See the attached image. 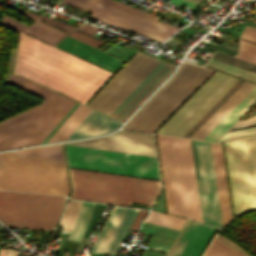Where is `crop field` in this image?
Listing matches in <instances>:
<instances>
[{"label":"crop field","mask_w":256,"mask_h":256,"mask_svg":"<svg viewBox=\"0 0 256 256\" xmlns=\"http://www.w3.org/2000/svg\"><path fill=\"white\" fill-rule=\"evenodd\" d=\"M80 203L81 201H74V200L69 201L68 208L66 210L65 216L61 223L63 225V228L69 229V230L72 228L79 211Z\"/></svg>","instance_id":"crop-field-30"},{"label":"crop field","mask_w":256,"mask_h":256,"mask_svg":"<svg viewBox=\"0 0 256 256\" xmlns=\"http://www.w3.org/2000/svg\"><path fill=\"white\" fill-rule=\"evenodd\" d=\"M241 38H244L256 43V30L253 29L252 27L246 26L244 32L241 35Z\"/></svg>","instance_id":"crop-field-35"},{"label":"crop field","mask_w":256,"mask_h":256,"mask_svg":"<svg viewBox=\"0 0 256 256\" xmlns=\"http://www.w3.org/2000/svg\"><path fill=\"white\" fill-rule=\"evenodd\" d=\"M18 254V251L6 249L4 256H18Z\"/></svg>","instance_id":"crop-field-39"},{"label":"crop field","mask_w":256,"mask_h":256,"mask_svg":"<svg viewBox=\"0 0 256 256\" xmlns=\"http://www.w3.org/2000/svg\"><path fill=\"white\" fill-rule=\"evenodd\" d=\"M55 46L104 67L112 72H114L123 63V61L80 41H77L67 35L56 43Z\"/></svg>","instance_id":"crop-field-18"},{"label":"crop field","mask_w":256,"mask_h":256,"mask_svg":"<svg viewBox=\"0 0 256 256\" xmlns=\"http://www.w3.org/2000/svg\"><path fill=\"white\" fill-rule=\"evenodd\" d=\"M206 66L221 70L223 72H226V73H229V74H232L256 83V74L226 65L224 63L210 59L206 64Z\"/></svg>","instance_id":"crop-field-28"},{"label":"crop field","mask_w":256,"mask_h":256,"mask_svg":"<svg viewBox=\"0 0 256 256\" xmlns=\"http://www.w3.org/2000/svg\"><path fill=\"white\" fill-rule=\"evenodd\" d=\"M255 134H256V127H251V128L227 132L220 140L238 138V137L255 135Z\"/></svg>","instance_id":"crop-field-33"},{"label":"crop field","mask_w":256,"mask_h":256,"mask_svg":"<svg viewBox=\"0 0 256 256\" xmlns=\"http://www.w3.org/2000/svg\"><path fill=\"white\" fill-rule=\"evenodd\" d=\"M145 221L180 230L186 219L151 211Z\"/></svg>","instance_id":"crop-field-25"},{"label":"crop field","mask_w":256,"mask_h":256,"mask_svg":"<svg viewBox=\"0 0 256 256\" xmlns=\"http://www.w3.org/2000/svg\"><path fill=\"white\" fill-rule=\"evenodd\" d=\"M69 36L75 38V39H78L86 44H89L95 48L99 47L101 44H103V42L97 40V39H94L86 34H83L77 30L73 31L71 34H69Z\"/></svg>","instance_id":"crop-field-34"},{"label":"crop field","mask_w":256,"mask_h":256,"mask_svg":"<svg viewBox=\"0 0 256 256\" xmlns=\"http://www.w3.org/2000/svg\"><path fill=\"white\" fill-rule=\"evenodd\" d=\"M4 250H5V249H1V250H0V256H3Z\"/></svg>","instance_id":"crop-field-42"},{"label":"crop field","mask_w":256,"mask_h":256,"mask_svg":"<svg viewBox=\"0 0 256 256\" xmlns=\"http://www.w3.org/2000/svg\"><path fill=\"white\" fill-rule=\"evenodd\" d=\"M70 170L77 199L130 206L131 202L153 205L160 181L79 169Z\"/></svg>","instance_id":"crop-field-4"},{"label":"crop field","mask_w":256,"mask_h":256,"mask_svg":"<svg viewBox=\"0 0 256 256\" xmlns=\"http://www.w3.org/2000/svg\"><path fill=\"white\" fill-rule=\"evenodd\" d=\"M174 65L161 61L136 89L119 105L111 116L124 121L146 97L174 69Z\"/></svg>","instance_id":"crop-field-17"},{"label":"crop field","mask_w":256,"mask_h":256,"mask_svg":"<svg viewBox=\"0 0 256 256\" xmlns=\"http://www.w3.org/2000/svg\"><path fill=\"white\" fill-rule=\"evenodd\" d=\"M77 30L93 36V34L96 32L97 28L92 27L88 24H84V25H81L79 28H77Z\"/></svg>","instance_id":"crop-field-38"},{"label":"crop field","mask_w":256,"mask_h":256,"mask_svg":"<svg viewBox=\"0 0 256 256\" xmlns=\"http://www.w3.org/2000/svg\"><path fill=\"white\" fill-rule=\"evenodd\" d=\"M237 81L216 72L156 133L182 137Z\"/></svg>","instance_id":"crop-field-9"},{"label":"crop field","mask_w":256,"mask_h":256,"mask_svg":"<svg viewBox=\"0 0 256 256\" xmlns=\"http://www.w3.org/2000/svg\"><path fill=\"white\" fill-rule=\"evenodd\" d=\"M212 59L227 63L229 65L256 73V65L236 59L234 57L216 52V54L212 57Z\"/></svg>","instance_id":"crop-field-29"},{"label":"crop field","mask_w":256,"mask_h":256,"mask_svg":"<svg viewBox=\"0 0 256 256\" xmlns=\"http://www.w3.org/2000/svg\"><path fill=\"white\" fill-rule=\"evenodd\" d=\"M68 166L159 179L156 158L67 146Z\"/></svg>","instance_id":"crop-field-8"},{"label":"crop field","mask_w":256,"mask_h":256,"mask_svg":"<svg viewBox=\"0 0 256 256\" xmlns=\"http://www.w3.org/2000/svg\"><path fill=\"white\" fill-rule=\"evenodd\" d=\"M194 144L203 222L222 227L210 143L194 141Z\"/></svg>","instance_id":"crop-field-12"},{"label":"crop field","mask_w":256,"mask_h":256,"mask_svg":"<svg viewBox=\"0 0 256 256\" xmlns=\"http://www.w3.org/2000/svg\"><path fill=\"white\" fill-rule=\"evenodd\" d=\"M212 72L213 70L183 61L179 70L123 129L153 133Z\"/></svg>","instance_id":"crop-field-5"},{"label":"crop field","mask_w":256,"mask_h":256,"mask_svg":"<svg viewBox=\"0 0 256 256\" xmlns=\"http://www.w3.org/2000/svg\"><path fill=\"white\" fill-rule=\"evenodd\" d=\"M216 227L188 220L166 256H199Z\"/></svg>","instance_id":"crop-field-16"},{"label":"crop field","mask_w":256,"mask_h":256,"mask_svg":"<svg viewBox=\"0 0 256 256\" xmlns=\"http://www.w3.org/2000/svg\"><path fill=\"white\" fill-rule=\"evenodd\" d=\"M96 1H99V2H102V3H105V4H108V5H111V6H114V7H117L119 9H122V10H125V11H128V12H131V13H134V14H137V15H140V16H143V17H146V18H149V19H152L154 21H158L159 20V17H156L154 15H151L149 13H146V12H143L141 10H138V9H135L133 7H130V6H127L125 4H122V3H119V2H116L114 0H96ZM151 20V21H152ZM174 28V27H173ZM177 29V28H176Z\"/></svg>","instance_id":"crop-field-32"},{"label":"crop field","mask_w":256,"mask_h":256,"mask_svg":"<svg viewBox=\"0 0 256 256\" xmlns=\"http://www.w3.org/2000/svg\"><path fill=\"white\" fill-rule=\"evenodd\" d=\"M254 86L245 82L191 138L202 140Z\"/></svg>","instance_id":"crop-field-20"},{"label":"crop field","mask_w":256,"mask_h":256,"mask_svg":"<svg viewBox=\"0 0 256 256\" xmlns=\"http://www.w3.org/2000/svg\"><path fill=\"white\" fill-rule=\"evenodd\" d=\"M5 155L12 156L29 170L60 167L65 193H59L64 192L59 168L29 171L12 157L6 156L11 187L59 192L10 188ZM0 190L67 195L69 186L61 145H47L0 153Z\"/></svg>","instance_id":"crop-field-2"},{"label":"crop field","mask_w":256,"mask_h":256,"mask_svg":"<svg viewBox=\"0 0 256 256\" xmlns=\"http://www.w3.org/2000/svg\"><path fill=\"white\" fill-rule=\"evenodd\" d=\"M237 58L256 64V45L240 39Z\"/></svg>","instance_id":"crop-field-31"},{"label":"crop field","mask_w":256,"mask_h":256,"mask_svg":"<svg viewBox=\"0 0 256 256\" xmlns=\"http://www.w3.org/2000/svg\"><path fill=\"white\" fill-rule=\"evenodd\" d=\"M15 73L83 103L112 75L23 33Z\"/></svg>","instance_id":"crop-field-1"},{"label":"crop field","mask_w":256,"mask_h":256,"mask_svg":"<svg viewBox=\"0 0 256 256\" xmlns=\"http://www.w3.org/2000/svg\"><path fill=\"white\" fill-rule=\"evenodd\" d=\"M90 111L91 109L79 104L46 143L66 140Z\"/></svg>","instance_id":"crop-field-23"},{"label":"crop field","mask_w":256,"mask_h":256,"mask_svg":"<svg viewBox=\"0 0 256 256\" xmlns=\"http://www.w3.org/2000/svg\"><path fill=\"white\" fill-rule=\"evenodd\" d=\"M234 215L256 209V137L224 143Z\"/></svg>","instance_id":"crop-field-7"},{"label":"crop field","mask_w":256,"mask_h":256,"mask_svg":"<svg viewBox=\"0 0 256 256\" xmlns=\"http://www.w3.org/2000/svg\"><path fill=\"white\" fill-rule=\"evenodd\" d=\"M147 211L140 210L130 229L137 230Z\"/></svg>","instance_id":"crop-field-37"},{"label":"crop field","mask_w":256,"mask_h":256,"mask_svg":"<svg viewBox=\"0 0 256 256\" xmlns=\"http://www.w3.org/2000/svg\"><path fill=\"white\" fill-rule=\"evenodd\" d=\"M209 36L216 37V38L222 39V40H224V41H227V42H230V43H233V44H236V45L238 44L237 42L230 41V40H227V39H223V38L217 37V36L212 35V34H210Z\"/></svg>","instance_id":"crop-field-40"},{"label":"crop field","mask_w":256,"mask_h":256,"mask_svg":"<svg viewBox=\"0 0 256 256\" xmlns=\"http://www.w3.org/2000/svg\"><path fill=\"white\" fill-rule=\"evenodd\" d=\"M157 138L168 213L202 222L190 140Z\"/></svg>","instance_id":"crop-field-3"},{"label":"crop field","mask_w":256,"mask_h":256,"mask_svg":"<svg viewBox=\"0 0 256 256\" xmlns=\"http://www.w3.org/2000/svg\"><path fill=\"white\" fill-rule=\"evenodd\" d=\"M203 256H245L234 248L215 238Z\"/></svg>","instance_id":"crop-field-27"},{"label":"crop field","mask_w":256,"mask_h":256,"mask_svg":"<svg viewBox=\"0 0 256 256\" xmlns=\"http://www.w3.org/2000/svg\"><path fill=\"white\" fill-rule=\"evenodd\" d=\"M212 146L223 226L231 220L220 144Z\"/></svg>","instance_id":"crop-field-21"},{"label":"crop field","mask_w":256,"mask_h":256,"mask_svg":"<svg viewBox=\"0 0 256 256\" xmlns=\"http://www.w3.org/2000/svg\"><path fill=\"white\" fill-rule=\"evenodd\" d=\"M255 100L256 86L230 111V113L203 140L215 142Z\"/></svg>","instance_id":"crop-field-22"},{"label":"crop field","mask_w":256,"mask_h":256,"mask_svg":"<svg viewBox=\"0 0 256 256\" xmlns=\"http://www.w3.org/2000/svg\"><path fill=\"white\" fill-rule=\"evenodd\" d=\"M120 124L121 122L92 110L68 139L106 133L118 128Z\"/></svg>","instance_id":"crop-field-19"},{"label":"crop field","mask_w":256,"mask_h":256,"mask_svg":"<svg viewBox=\"0 0 256 256\" xmlns=\"http://www.w3.org/2000/svg\"><path fill=\"white\" fill-rule=\"evenodd\" d=\"M65 197L0 192V221L8 227L52 230Z\"/></svg>","instance_id":"crop-field-6"},{"label":"crop field","mask_w":256,"mask_h":256,"mask_svg":"<svg viewBox=\"0 0 256 256\" xmlns=\"http://www.w3.org/2000/svg\"><path fill=\"white\" fill-rule=\"evenodd\" d=\"M64 144L156 157L153 135L118 131L104 137Z\"/></svg>","instance_id":"crop-field-13"},{"label":"crop field","mask_w":256,"mask_h":256,"mask_svg":"<svg viewBox=\"0 0 256 256\" xmlns=\"http://www.w3.org/2000/svg\"><path fill=\"white\" fill-rule=\"evenodd\" d=\"M9 8H11V7H9ZM12 9H15V8H12ZM15 10L34 19L35 21L28 27L16 20L2 14V19L0 21V25H3L9 29H12L17 33H20L21 31H23L27 34H30V35L36 37V38L46 41L52 45H54L63 36H65L69 31H71L75 28V27L64 24L62 22H59V21L49 18V17H45V16H42L39 14H35V13H31V12H27V11H23V10H19V9H15ZM41 20H43L49 24H52L56 27H59L67 32L64 33L58 29L48 26V25L40 22Z\"/></svg>","instance_id":"crop-field-15"},{"label":"crop field","mask_w":256,"mask_h":256,"mask_svg":"<svg viewBox=\"0 0 256 256\" xmlns=\"http://www.w3.org/2000/svg\"><path fill=\"white\" fill-rule=\"evenodd\" d=\"M138 212V209L115 206L89 252L115 254Z\"/></svg>","instance_id":"crop-field-14"},{"label":"crop field","mask_w":256,"mask_h":256,"mask_svg":"<svg viewBox=\"0 0 256 256\" xmlns=\"http://www.w3.org/2000/svg\"><path fill=\"white\" fill-rule=\"evenodd\" d=\"M254 124H256V116L251 117L247 120L237 122L230 130L244 128V127L252 126Z\"/></svg>","instance_id":"crop-field-36"},{"label":"crop field","mask_w":256,"mask_h":256,"mask_svg":"<svg viewBox=\"0 0 256 256\" xmlns=\"http://www.w3.org/2000/svg\"><path fill=\"white\" fill-rule=\"evenodd\" d=\"M159 62L138 52L89 106L110 115Z\"/></svg>","instance_id":"crop-field-10"},{"label":"crop field","mask_w":256,"mask_h":256,"mask_svg":"<svg viewBox=\"0 0 256 256\" xmlns=\"http://www.w3.org/2000/svg\"><path fill=\"white\" fill-rule=\"evenodd\" d=\"M62 3H66L92 13L89 16L91 18L153 39L158 42L167 38L176 31V29L171 27L93 0H62Z\"/></svg>","instance_id":"crop-field-11"},{"label":"crop field","mask_w":256,"mask_h":256,"mask_svg":"<svg viewBox=\"0 0 256 256\" xmlns=\"http://www.w3.org/2000/svg\"><path fill=\"white\" fill-rule=\"evenodd\" d=\"M186 1H189V2L197 4L200 0H186Z\"/></svg>","instance_id":"crop-field-41"},{"label":"crop field","mask_w":256,"mask_h":256,"mask_svg":"<svg viewBox=\"0 0 256 256\" xmlns=\"http://www.w3.org/2000/svg\"><path fill=\"white\" fill-rule=\"evenodd\" d=\"M243 83L239 80L183 137L190 138Z\"/></svg>","instance_id":"crop-field-26"},{"label":"crop field","mask_w":256,"mask_h":256,"mask_svg":"<svg viewBox=\"0 0 256 256\" xmlns=\"http://www.w3.org/2000/svg\"><path fill=\"white\" fill-rule=\"evenodd\" d=\"M94 203L82 202L76 223L68 236V239L80 241L88 224Z\"/></svg>","instance_id":"crop-field-24"}]
</instances>
